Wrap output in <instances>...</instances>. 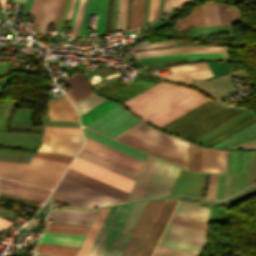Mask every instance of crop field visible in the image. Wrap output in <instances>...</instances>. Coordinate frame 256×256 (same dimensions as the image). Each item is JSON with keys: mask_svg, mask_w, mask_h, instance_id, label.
I'll use <instances>...</instances> for the list:
<instances>
[{"mask_svg": "<svg viewBox=\"0 0 256 256\" xmlns=\"http://www.w3.org/2000/svg\"><path fill=\"white\" fill-rule=\"evenodd\" d=\"M256 121L248 110L207 101L160 129L210 147Z\"/></svg>", "mask_w": 256, "mask_h": 256, "instance_id": "crop-field-1", "label": "crop field"}, {"mask_svg": "<svg viewBox=\"0 0 256 256\" xmlns=\"http://www.w3.org/2000/svg\"><path fill=\"white\" fill-rule=\"evenodd\" d=\"M207 100L194 90L162 82L123 105L159 128Z\"/></svg>", "mask_w": 256, "mask_h": 256, "instance_id": "crop-field-2", "label": "crop field"}, {"mask_svg": "<svg viewBox=\"0 0 256 256\" xmlns=\"http://www.w3.org/2000/svg\"><path fill=\"white\" fill-rule=\"evenodd\" d=\"M66 164L33 157L30 164L0 162V176L52 189Z\"/></svg>", "mask_w": 256, "mask_h": 256, "instance_id": "crop-field-3", "label": "crop field"}, {"mask_svg": "<svg viewBox=\"0 0 256 256\" xmlns=\"http://www.w3.org/2000/svg\"><path fill=\"white\" fill-rule=\"evenodd\" d=\"M51 197L76 207L103 206L119 201L77 184L64 177L60 180Z\"/></svg>", "mask_w": 256, "mask_h": 256, "instance_id": "crop-field-4", "label": "crop field"}, {"mask_svg": "<svg viewBox=\"0 0 256 256\" xmlns=\"http://www.w3.org/2000/svg\"><path fill=\"white\" fill-rule=\"evenodd\" d=\"M115 139L145 151L149 154L157 156L161 159L174 163L178 166L186 168L188 157L187 153L142 135L131 129L127 130Z\"/></svg>", "mask_w": 256, "mask_h": 256, "instance_id": "crop-field-5", "label": "crop field"}, {"mask_svg": "<svg viewBox=\"0 0 256 256\" xmlns=\"http://www.w3.org/2000/svg\"><path fill=\"white\" fill-rule=\"evenodd\" d=\"M132 206H133V204H130L127 206L113 207L110 209V211H109V213H108V215H107V217H106V219H105L87 256H98V254L108 236V233H109V231H110V229H111V227H112V225L122 207V209H121V211H120V213H119V215L109 233V236L99 254V256H108Z\"/></svg>", "mask_w": 256, "mask_h": 256, "instance_id": "crop-field-6", "label": "crop field"}, {"mask_svg": "<svg viewBox=\"0 0 256 256\" xmlns=\"http://www.w3.org/2000/svg\"><path fill=\"white\" fill-rule=\"evenodd\" d=\"M179 170L159 159L140 199L167 196Z\"/></svg>", "mask_w": 256, "mask_h": 256, "instance_id": "crop-field-7", "label": "crop field"}, {"mask_svg": "<svg viewBox=\"0 0 256 256\" xmlns=\"http://www.w3.org/2000/svg\"><path fill=\"white\" fill-rule=\"evenodd\" d=\"M138 121L140 120L118 105L86 127L114 137Z\"/></svg>", "mask_w": 256, "mask_h": 256, "instance_id": "crop-field-8", "label": "crop field"}, {"mask_svg": "<svg viewBox=\"0 0 256 256\" xmlns=\"http://www.w3.org/2000/svg\"><path fill=\"white\" fill-rule=\"evenodd\" d=\"M159 82H161V81L153 79V78H149V77H146L143 75H139L134 78V80L132 81V84L150 88V87L158 84ZM132 84L123 83V82L117 80L109 85L98 88V90L107 95L113 94V95H116V96H119L122 98L130 99V98L134 97L135 95H137L147 89V88L139 87V86L132 85ZM98 90L95 89V91L98 94H100L104 97L118 100L121 103L126 101V99H122V98H119V97H116L113 95L107 96L105 94L100 93Z\"/></svg>", "mask_w": 256, "mask_h": 256, "instance_id": "crop-field-9", "label": "crop field"}, {"mask_svg": "<svg viewBox=\"0 0 256 256\" xmlns=\"http://www.w3.org/2000/svg\"><path fill=\"white\" fill-rule=\"evenodd\" d=\"M179 200H165L138 256H152Z\"/></svg>", "mask_w": 256, "mask_h": 256, "instance_id": "crop-field-10", "label": "crop field"}, {"mask_svg": "<svg viewBox=\"0 0 256 256\" xmlns=\"http://www.w3.org/2000/svg\"><path fill=\"white\" fill-rule=\"evenodd\" d=\"M86 143L82 147V150L89 152L93 155H96L100 158H103L107 161H110L116 165H119L123 168H126L135 173H139L142 161L135 159L131 156L123 154L119 151H116L112 148H109L105 145L97 143L93 140H90L85 137Z\"/></svg>", "mask_w": 256, "mask_h": 256, "instance_id": "crop-field-11", "label": "crop field"}, {"mask_svg": "<svg viewBox=\"0 0 256 256\" xmlns=\"http://www.w3.org/2000/svg\"><path fill=\"white\" fill-rule=\"evenodd\" d=\"M163 201L148 203L122 256H137Z\"/></svg>", "mask_w": 256, "mask_h": 256, "instance_id": "crop-field-12", "label": "crop field"}, {"mask_svg": "<svg viewBox=\"0 0 256 256\" xmlns=\"http://www.w3.org/2000/svg\"><path fill=\"white\" fill-rule=\"evenodd\" d=\"M70 168L75 169L84 174H87L89 176H92L94 178H97V179L104 181L106 183H109L111 185H114L116 187H119L128 192L130 191V189L134 183L133 181H131L129 179H126L122 176H119L115 173L105 170L99 166H96V165L89 163L85 160H82L78 157H76V159L70 165Z\"/></svg>", "mask_w": 256, "mask_h": 256, "instance_id": "crop-field-13", "label": "crop field"}, {"mask_svg": "<svg viewBox=\"0 0 256 256\" xmlns=\"http://www.w3.org/2000/svg\"><path fill=\"white\" fill-rule=\"evenodd\" d=\"M232 75H242L245 77H249V74L247 72L239 70L234 73L227 74L207 81H205V79L193 80L197 89L203 91L211 98L219 100L221 98H224L235 93L236 89L233 87L228 78Z\"/></svg>", "mask_w": 256, "mask_h": 256, "instance_id": "crop-field-14", "label": "crop field"}, {"mask_svg": "<svg viewBox=\"0 0 256 256\" xmlns=\"http://www.w3.org/2000/svg\"><path fill=\"white\" fill-rule=\"evenodd\" d=\"M64 177L71 179L75 182H78L84 186H87L91 189H94L98 192H101L105 195H108L114 199H117L121 202H124L126 200V197L128 195V192L123 191L119 188H116L114 186H111L109 184H106L104 182H101L97 179H94L92 177H89L87 175H84L82 173H79L75 170H72L68 168L66 173L64 174Z\"/></svg>", "mask_w": 256, "mask_h": 256, "instance_id": "crop-field-15", "label": "crop field"}, {"mask_svg": "<svg viewBox=\"0 0 256 256\" xmlns=\"http://www.w3.org/2000/svg\"><path fill=\"white\" fill-rule=\"evenodd\" d=\"M170 68L173 74L162 77L192 87L191 78H207L212 76L207 63L182 64Z\"/></svg>", "mask_w": 256, "mask_h": 256, "instance_id": "crop-field-16", "label": "crop field"}, {"mask_svg": "<svg viewBox=\"0 0 256 256\" xmlns=\"http://www.w3.org/2000/svg\"><path fill=\"white\" fill-rule=\"evenodd\" d=\"M82 143V138L44 135L38 150L74 156Z\"/></svg>", "mask_w": 256, "mask_h": 256, "instance_id": "crop-field-17", "label": "crop field"}, {"mask_svg": "<svg viewBox=\"0 0 256 256\" xmlns=\"http://www.w3.org/2000/svg\"><path fill=\"white\" fill-rule=\"evenodd\" d=\"M51 190L3 180L0 178V192L38 201L44 202Z\"/></svg>", "mask_w": 256, "mask_h": 256, "instance_id": "crop-field-18", "label": "crop field"}, {"mask_svg": "<svg viewBox=\"0 0 256 256\" xmlns=\"http://www.w3.org/2000/svg\"><path fill=\"white\" fill-rule=\"evenodd\" d=\"M96 211L97 209L71 210L58 208V211L51 210L47 219H54L53 223L89 226Z\"/></svg>", "mask_w": 256, "mask_h": 256, "instance_id": "crop-field-19", "label": "crop field"}, {"mask_svg": "<svg viewBox=\"0 0 256 256\" xmlns=\"http://www.w3.org/2000/svg\"><path fill=\"white\" fill-rule=\"evenodd\" d=\"M146 204L147 202H143L134 205L109 256H121Z\"/></svg>", "mask_w": 256, "mask_h": 256, "instance_id": "crop-field-20", "label": "crop field"}, {"mask_svg": "<svg viewBox=\"0 0 256 256\" xmlns=\"http://www.w3.org/2000/svg\"><path fill=\"white\" fill-rule=\"evenodd\" d=\"M227 154V150L203 147L200 171L225 172Z\"/></svg>", "mask_w": 256, "mask_h": 256, "instance_id": "crop-field-21", "label": "crop field"}, {"mask_svg": "<svg viewBox=\"0 0 256 256\" xmlns=\"http://www.w3.org/2000/svg\"><path fill=\"white\" fill-rule=\"evenodd\" d=\"M144 123V122H143ZM142 122L135 125L134 127H132L131 129L135 130V131H138L142 134H145L147 136H150L154 139H157L161 142H164L168 145H171L173 147H176L180 150H183L185 152L188 153V147H189V142L188 141H184V140H181V139H178V138H175V137H172V136H169V135H166L162 132H159L145 124H143Z\"/></svg>", "mask_w": 256, "mask_h": 256, "instance_id": "crop-field-22", "label": "crop field"}, {"mask_svg": "<svg viewBox=\"0 0 256 256\" xmlns=\"http://www.w3.org/2000/svg\"><path fill=\"white\" fill-rule=\"evenodd\" d=\"M108 0H89L80 35H85L90 14H97L96 34L103 33Z\"/></svg>", "mask_w": 256, "mask_h": 256, "instance_id": "crop-field-23", "label": "crop field"}, {"mask_svg": "<svg viewBox=\"0 0 256 256\" xmlns=\"http://www.w3.org/2000/svg\"><path fill=\"white\" fill-rule=\"evenodd\" d=\"M64 81L71 89L65 94L74 104L92 93L87 80L78 73L68 78H64Z\"/></svg>", "mask_w": 256, "mask_h": 256, "instance_id": "crop-field-24", "label": "crop field"}, {"mask_svg": "<svg viewBox=\"0 0 256 256\" xmlns=\"http://www.w3.org/2000/svg\"><path fill=\"white\" fill-rule=\"evenodd\" d=\"M50 119L78 121L76 109L66 97L47 105Z\"/></svg>", "mask_w": 256, "mask_h": 256, "instance_id": "crop-field-25", "label": "crop field"}, {"mask_svg": "<svg viewBox=\"0 0 256 256\" xmlns=\"http://www.w3.org/2000/svg\"><path fill=\"white\" fill-rule=\"evenodd\" d=\"M205 231L170 223L165 235L205 244L208 235Z\"/></svg>", "mask_w": 256, "mask_h": 256, "instance_id": "crop-field-26", "label": "crop field"}, {"mask_svg": "<svg viewBox=\"0 0 256 256\" xmlns=\"http://www.w3.org/2000/svg\"><path fill=\"white\" fill-rule=\"evenodd\" d=\"M86 137L144 161L147 154L83 128Z\"/></svg>", "mask_w": 256, "mask_h": 256, "instance_id": "crop-field-27", "label": "crop field"}, {"mask_svg": "<svg viewBox=\"0 0 256 256\" xmlns=\"http://www.w3.org/2000/svg\"><path fill=\"white\" fill-rule=\"evenodd\" d=\"M157 160V158L149 155L128 200L140 198Z\"/></svg>", "mask_w": 256, "mask_h": 256, "instance_id": "crop-field-28", "label": "crop field"}, {"mask_svg": "<svg viewBox=\"0 0 256 256\" xmlns=\"http://www.w3.org/2000/svg\"><path fill=\"white\" fill-rule=\"evenodd\" d=\"M84 236L45 232L40 242L79 247Z\"/></svg>", "mask_w": 256, "mask_h": 256, "instance_id": "crop-field-29", "label": "crop field"}, {"mask_svg": "<svg viewBox=\"0 0 256 256\" xmlns=\"http://www.w3.org/2000/svg\"><path fill=\"white\" fill-rule=\"evenodd\" d=\"M78 157L135 181L137 174L80 150Z\"/></svg>", "mask_w": 256, "mask_h": 256, "instance_id": "crop-field-30", "label": "crop field"}, {"mask_svg": "<svg viewBox=\"0 0 256 256\" xmlns=\"http://www.w3.org/2000/svg\"><path fill=\"white\" fill-rule=\"evenodd\" d=\"M110 208L100 209L77 256H86Z\"/></svg>", "mask_w": 256, "mask_h": 256, "instance_id": "crop-field-31", "label": "crop field"}, {"mask_svg": "<svg viewBox=\"0 0 256 256\" xmlns=\"http://www.w3.org/2000/svg\"><path fill=\"white\" fill-rule=\"evenodd\" d=\"M161 246L170 247L174 249L184 250L188 252H193L200 254L203 250L204 246L203 244H198L194 242L184 241L180 239L170 238L164 236L161 243Z\"/></svg>", "mask_w": 256, "mask_h": 256, "instance_id": "crop-field-32", "label": "crop field"}, {"mask_svg": "<svg viewBox=\"0 0 256 256\" xmlns=\"http://www.w3.org/2000/svg\"><path fill=\"white\" fill-rule=\"evenodd\" d=\"M175 213L208 221L209 209L181 201Z\"/></svg>", "mask_w": 256, "mask_h": 256, "instance_id": "crop-field-33", "label": "crop field"}, {"mask_svg": "<svg viewBox=\"0 0 256 256\" xmlns=\"http://www.w3.org/2000/svg\"><path fill=\"white\" fill-rule=\"evenodd\" d=\"M78 248L75 247H67V246H59V245H51V244H43L39 243L36 251L40 253L58 255V256H75Z\"/></svg>", "mask_w": 256, "mask_h": 256, "instance_id": "crop-field-34", "label": "crop field"}, {"mask_svg": "<svg viewBox=\"0 0 256 256\" xmlns=\"http://www.w3.org/2000/svg\"><path fill=\"white\" fill-rule=\"evenodd\" d=\"M180 25H184V26L180 27L181 29L188 27V26H203V25H205L201 5L193 8L189 16L177 20L176 26H174L172 28L174 29Z\"/></svg>", "mask_w": 256, "mask_h": 256, "instance_id": "crop-field-35", "label": "crop field"}, {"mask_svg": "<svg viewBox=\"0 0 256 256\" xmlns=\"http://www.w3.org/2000/svg\"><path fill=\"white\" fill-rule=\"evenodd\" d=\"M116 105H118V104H116L112 101H109V100L103 102L102 104L98 105L94 109H92L89 112L85 113L84 115L80 116L82 125H84V126L87 125L88 123L95 120L96 118H98L99 116H101L102 114L107 112L108 110L112 109Z\"/></svg>", "mask_w": 256, "mask_h": 256, "instance_id": "crop-field-36", "label": "crop field"}, {"mask_svg": "<svg viewBox=\"0 0 256 256\" xmlns=\"http://www.w3.org/2000/svg\"><path fill=\"white\" fill-rule=\"evenodd\" d=\"M221 24L242 22L236 7H226L225 4L217 5Z\"/></svg>", "mask_w": 256, "mask_h": 256, "instance_id": "crop-field-37", "label": "crop field"}, {"mask_svg": "<svg viewBox=\"0 0 256 256\" xmlns=\"http://www.w3.org/2000/svg\"><path fill=\"white\" fill-rule=\"evenodd\" d=\"M46 231L85 235L89 227L48 223Z\"/></svg>", "mask_w": 256, "mask_h": 256, "instance_id": "crop-field-38", "label": "crop field"}, {"mask_svg": "<svg viewBox=\"0 0 256 256\" xmlns=\"http://www.w3.org/2000/svg\"><path fill=\"white\" fill-rule=\"evenodd\" d=\"M171 222L207 231L206 221L175 214Z\"/></svg>", "mask_w": 256, "mask_h": 256, "instance_id": "crop-field-39", "label": "crop field"}, {"mask_svg": "<svg viewBox=\"0 0 256 256\" xmlns=\"http://www.w3.org/2000/svg\"><path fill=\"white\" fill-rule=\"evenodd\" d=\"M228 49H182V50H172V51H162V52H153L146 54H138L137 58L173 54V53H182V52H207V53H227Z\"/></svg>", "mask_w": 256, "mask_h": 256, "instance_id": "crop-field-40", "label": "crop field"}, {"mask_svg": "<svg viewBox=\"0 0 256 256\" xmlns=\"http://www.w3.org/2000/svg\"><path fill=\"white\" fill-rule=\"evenodd\" d=\"M105 100L106 99L100 98L93 93L75 105L79 109L80 115H82Z\"/></svg>", "mask_w": 256, "mask_h": 256, "instance_id": "crop-field-41", "label": "crop field"}, {"mask_svg": "<svg viewBox=\"0 0 256 256\" xmlns=\"http://www.w3.org/2000/svg\"><path fill=\"white\" fill-rule=\"evenodd\" d=\"M44 134L82 137L80 128L44 127Z\"/></svg>", "mask_w": 256, "mask_h": 256, "instance_id": "crop-field-42", "label": "crop field"}, {"mask_svg": "<svg viewBox=\"0 0 256 256\" xmlns=\"http://www.w3.org/2000/svg\"><path fill=\"white\" fill-rule=\"evenodd\" d=\"M201 151V146L191 143L188 170L199 171Z\"/></svg>", "mask_w": 256, "mask_h": 256, "instance_id": "crop-field-43", "label": "crop field"}, {"mask_svg": "<svg viewBox=\"0 0 256 256\" xmlns=\"http://www.w3.org/2000/svg\"><path fill=\"white\" fill-rule=\"evenodd\" d=\"M56 1L57 0H48L47 1L38 32H42V33L46 32L48 25H49V20L52 16V13H53V10H54L55 4H56Z\"/></svg>", "mask_w": 256, "mask_h": 256, "instance_id": "crop-field-44", "label": "crop field"}, {"mask_svg": "<svg viewBox=\"0 0 256 256\" xmlns=\"http://www.w3.org/2000/svg\"><path fill=\"white\" fill-rule=\"evenodd\" d=\"M206 25L220 24L216 5H202Z\"/></svg>", "mask_w": 256, "mask_h": 256, "instance_id": "crop-field-45", "label": "crop field"}, {"mask_svg": "<svg viewBox=\"0 0 256 256\" xmlns=\"http://www.w3.org/2000/svg\"><path fill=\"white\" fill-rule=\"evenodd\" d=\"M254 188H256V184H254V185H252V186H250V187H248V188H246V189H244V190H242V191H240V192H238V193H236V194H234V195H232V196H230L226 199L219 200V201H210V200H206V199H202V198H198V197L182 196V195H176L174 197H184V198H188V199H194V200H197V201H201V202H204V203H222V202H228V201H230V200H232V199H234V198H236V197H238V196H240V195H242V194H244V193H246V192H248V191H250Z\"/></svg>", "mask_w": 256, "mask_h": 256, "instance_id": "crop-field-46", "label": "crop field"}, {"mask_svg": "<svg viewBox=\"0 0 256 256\" xmlns=\"http://www.w3.org/2000/svg\"><path fill=\"white\" fill-rule=\"evenodd\" d=\"M182 56H227V54L182 53V54H174V55H166V56L142 58V59H138V60H139V62H143V61H151V60L175 58V57H182Z\"/></svg>", "mask_w": 256, "mask_h": 256, "instance_id": "crop-field-47", "label": "crop field"}, {"mask_svg": "<svg viewBox=\"0 0 256 256\" xmlns=\"http://www.w3.org/2000/svg\"><path fill=\"white\" fill-rule=\"evenodd\" d=\"M34 156L53 160V161H58L66 164H69L70 160L72 159V157L70 156H64V155H58V154H52V153H46V152H40V151H37Z\"/></svg>", "mask_w": 256, "mask_h": 256, "instance_id": "crop-field-48", "label": "crop field"}, {"mask_svg": "<svg viewBox=\"0 0 256 256\" xmlns=\"http://www.w3.org/2000/svg\"><path fill=\"white\" fill-rule=\"evenodd\" d=\"M155 254L161 255V256H199L197 254L174 250V249L165 248L161 246L158 247Z\"/></svg>", "mask_w": 256, "mask_h": 256, "instance_id": "crop-field-49", "label": "crop field"}, {"mask_svg": "<svg viewBox=\"0 0 256 256\" xmlns=\"http://www.w3.org/2000/svg\"><path fill=\"white\" fill-rule=\"evenodd\" d=\"M145 0H136L134 28L141 26L144 18Z\"/></svg>", "mask_w": 256, "mask_h": 256, "instance_id": "crop-field-50", "label": "crop field"}, {"mask_svg": "<svg viewBox=\"0 0 256 256\" xmlns=\"http://www.w3.org/2000/svg\"><path fill=\"white\" fill-rule=\"evenodd\" d=\"M127 0H121L119 13V31L125 30Z\"/></svg>", "mask_w": 256, "mask_h": 256, "instance_id": "crop-field-51", "label": "crop field"}, {"mask_svg": "<svg viewBox=\"0 0 256 256\" xmlns=\"http://www.w3.org/2000/svg\"><path fill=\"white\" fill-rule=\"evenodd\" d=\"M84 4H85V0H81L80 4H79L78 11H77V14H76L74 26H73V29H72V33H71L72 35H76L77 30L79 28V24H80L82 12H83Z\"/></svg>", "mask_w": 256, "mask_h": 256, "instance_id": "crop-field-52", "label": "crop field"}, {"mask_svg": "<svg viewBox=\"0 0 256 256\" xmlns=\"http://www.w3.org/2000/svg\"><path fill=\"white\" fill-rule=\"evenodd\" d=\"M184 59H188V58H187V57H183V58H175V59H167V60L143 62L142 64H143V65H147V64H154V63H161V62H168V61H176V60H184ZM185 61H189V60H185ZM185 61H177V62H169V63H161V64H154V65H147V67L161 66V65L173 64V63L185 62Z\"/></svg>", "mask_w": 256, "mask_h": 256, "instance_id": "crop-field-53", "label": "crop field"}, {"mask_svg": "<svg viewBox=\"0 0 256 256\" xmlns=\"http://www.w3.org/2000/svg\"><path fill=\"white\" fill-rule=\"evenodd\" d=\"M112 6H113V0H109L104 33L110 32L111 18H112Z\"/></svg>", "mask_w": 256, "mask_h": 256, "instance_id": "crop-field-54", "label": "crop field"}, {"mask_svg": "<svg viewBox=\"0 0 256 256\" xmlns=\"http://www.w3.org/2000/svg\"><path fill=\"white\" fill-rule=\"evenodd\" d=\"M217 174H211L207 198L214 199Z\"/></svg>", "mask_w": 256, "mask_h": 256, "instance_id": "crop-field-55", "label": "crop field"}, {"mask_svg": "<svg viewBox=\"0 0 256 256\" xmlns=\"http://www.w3.org/2000/svg\"><path fill=\"white\" fill-rule=\"evenodd\" d=\"M233 149H256V140L241 144V145H237L234 147H231Z\"/></svg>", "mask_w": 256, "mask_h": 256, "instance_id": "crop-field-56", "label": "crop field"}, {"mask_svg": "<svg viewBox=\"0 0 256 256\" xmlns=\"http://www.w3.org/2000/svg\"><path fill=\"white\" fill-rule=\"evenodd\" d=\"M172 44H174L173 40L162 42V43L149 44V46H144V47H135V48H132V50L159 47V46L172 45Z\"/></svg>", "mask_w": 256, "mask_h": 256, "instance_id": "crop-field-57", "label": "crop field"}, {"mask_svg": "<svg viewBox=\"0 0 256 256\" xmlns=\"http://www.w3.org/2000/svg\"><path fill=\"white\" fill-rule=\"evenodd\" d=\"M42 1L43 0H37L36 1V4H35V7H34V10H33V16H35L34 18V21L32 24H36V21H37V18H38V14H39V11H40V8H41V5H42Z\"/></svg>", "mask_w": 256, "mask_h": 256, "instance_id": "crop-field-58", "label": "crop field"}, {"mask_svg": "<svg viewBox=\"0 0 256 256\" xmlns=\"http://www.w3.org/2000/svg\"><path fill=\"white\" fill-rule=\"evenodd\" d=\"M175 1L176 0H164L163 14L175 7Z\"/></svg>", "mask_w": 256, "mask_h": 256, "instance_id": "crop-field-59", "label": "crop field"}, {"mask_svg": "<svg viewBox=\"0 0 256 256\" xmlns=\"http://www.w3.org/2000/svg\"><path fill=\"white\" fill-rule=\"evenodd\" d=\"M155 2H156V0H151V3H150V17H149V22L154 19Z\"/></svg>", "mask_w": 256, "mask_h": 256, "instance_id": "crop-field-60", "label": "crop field"}, {"mask_svg": "<svg viewBox=\"0 0 256 256\" xmlns=\"http://www.w3.org/2000/svg\"><path fill=\"white\" fill-rule=\"evenodd\" d=\"M65 3H66V0H63L62 3H61L59 14H58V17H57V20H56V23H55L57 25H59V23H60V19H61V15H62L64 6H65Z\"/></svg>", "mask_w": 256, "mask_h": 256, "instance_id": "crop-field-61", "label": "crop field"}, {"mask_svg": "<svg viewBox=\"0 0 256 256\" xmlns=\"http://www.w3.org/2000/svg\"><path fill=\"white\" fill-rule=\"evenodd\" d=\"M12 225V222L0 219V230L1 229H6L8 226Z\"/></svg>", "mask_w": 256, "mask_h": 256, "instance_id": "crop-field-62", "label": "crop field"}, {"mask_svg": "<svg viewBox=\"0 0 256 256\" xmlns=\"http://www.w3.org/2000/svg\"><path fill=\"white\" fill-rule=\"evenodd\" d=\"M61 1H62V0H58V1H57L56 7H55V10H54L52 19H51L52 22H54L55 19H56V17H57V14H58V10H59V6H60Z\"/></svg>", "mask_w": 256, "mask_h": 256, "instance_id": "crop-field-63", "label": "crop field"}, {"mask_svg": "<svg viewBox=\"0 0 256 256\" xmlns=\"http://www.w3.org/2000/svg\"><path fill=\"white\" fill-rule=\"evenodd\" d=\"M130 9H131V0H128V11H127L126 30L129 29V23H130Z\"/></svg>", "mask_w": 256, "mask_h": 256, "instance_id": "crop-field-64", "label": "crop field"}, {"mask_svg": "<svg viewBox=\"0 0 256 256\" xmlns=\"http://www.w3.org/2000/svg\"><path fill=\"white\" fill-rule=\"evenodd\" d=\"M32 1H33V0H27V1H26V5H25V8H24L23 16H26V15L28 14L29 9H30V6H31V4H32ZM23 16H22V17H23Z\"/></svg>", "mask_w": 256, "mask_h": 256, "instance_id": "crop-field-65", "label": "crop field"}, {"mask_svg": "<svg viewBox=\"0 0 256 256\" xmlns=\"http://www.w3.org/2000/svg\"><path fill=\"white\" fill-rule=\"evenodd\" d=\"M181 48H228V47H181ZM181 48H172V49H181ZM164 50H171V49H164ZM155 51H161V50H155ZM147 52H153V51H147ZM139 53H145V52H139ZM138 54V53H135Z\"/></svg>", "mask_w": 256, "mask_h": 256, "instance_id": "crop-field-66", "label": "crop field"}, {"mask_svg": "<svg viewBox=\"0 0 256 256\" xmlns=\"http://www.w3.org/2000/svg\"><path fill=\"white\" fill-rule=\"evenodd\" d=\"M134 8H135V0H132L130 29L133 28V22H134Z\"/></svg>", "mask_w": 256, "mask_h": 256, "instance_id": "crop-field-67", "label": "crop field"}, {"mask_svg": "<svg viewBox=\"0 0 256 256\" xmlns=\"http://www.w3.org/2000/svg\"><path fill=\"white\" fill-rule=\"evenodd\" d=\"M75 3H76V0H73L72 5H71L70 10H69V13H68V15H67V17H69V18H71V16H72Z\"/></svg>", "mask_w": 256, "mask_h": 256, "instance_id": "crop-field-68", "label": "crop field"}, {"mask_svg": "<svg viewBox=\"0 0 256 256\" xmlns=\"http://www.w3.org/2000/svg\"><path fill=\"white\" fill-rule=\"evenodd\" d=\"M46 1L47 0H44L43 2V5H42V8H41V11H40V14H39V18H38V21H37V24L36 25H39L40 24V20H41V17H42V13H43V9H44V6L46 4Z\"/></svg>", "mask_w": 256, "mask_h": 256, "instance_id": "crop-field-69", "label": "crop field"}, {"mask_svg": "<svg viewBox=\"0 0 256 256\" xmlns=\"http://www.w3.org/2000/svg\"><path fill=\"white\" fill-rule=\"evenodd\" d=\"M79 1L80 0H77L76 7H75V10H74V13H73V17H72V20H71V23H70V26H69L71 28H72V25H73V21H74V18H75V14H76V11H77V8H78Z\"/></svg>", "mask_w": 256, "mask_h": 256, "instance_id": "crop-field-70", "label": "crop field"}, {"mask_svg": "<svg viewBox=\"0 0 256 256\" xmlns=\"http://www.w3.org/2000/svg\"><path fill=\"white\" fill-rule=\"evenodd\" d=\"M188 1H190V0H177V1H176V7L183 5V4H185L186 2H188Z\"/></svg>", "mask_w": 256, "mask_h": 256, "instance_id": "crop-field-71", "label": "crop field"}, {"mask_svg": "<svg viewBox=\"0 0 256 256\" xmlns=\"http://www.w3.org/2000/svg\"><path fill=\"white\" fill-rule=\"evenodd\" d=\"M68 2H69V0H67L65 9H64V12H63V15H62L61 23H60V26H59V28H58V32H57V33H59V30H60V27H61V24H62V21H63V18H64V14H65V10H66V7H67V5H68Z\"/></svg>", "mask_w": 256, "mask_h": 256, "instance_id": "crop-field-72", "label": "crop field"}, {"mask_svg": "<svg viewBox=\"0 0 256 256\" xmlns=\"http://www.w3.org/2000/svg\"><path fill=\"white\" fill-rule=\"evenodd\" d=\"M158 11H159V0L156 2V13H155V18L158 17Z\"/></svg>", "mask_w": 256, "mask_h": 256, "instance_id": "crop-field-73", "label": "crop field"}, {"mask_svg": "<svg viewBox=\"0 0 256 256\" xmlns=\"http://www.w3.org/2000/svg\"><path fill=\"white\" fill-rule=\"evenodd\" d=\"M14 3H21V4H23L24 0H14Z\"/></svg>", "mask_w": 256, "mask_h": 256, "instance_id": "crop-field-74", "label": "crop field"}, {"mask_svg": "<svg viewBox=\"0 0 256 256\" xmlns=\"http://www.w3.org/2000/svg\"><path fill=\"white\" fill-rule=\"evenodd\" d=\"M35 1H36V0H34V1H33V4H32V6H31V9H30V13H29V15H31V13H32V10H33V7H34V4H35Z\"/></svg>", "mask_w": 256, "mask_h": 256, "instance_id": "crop-field-75", "label": "crop field"}, {"mask_svg": "<svg viewBox=\"0 0 256 256\" xmlns=\"http://www.w3.org/2000/svg\"><path fill=\"white\" fill-rule=\"evenodd\" d=\"M0 1H1V3H2V6H4V1H5V0H0Z\"/></svg>", "mask_w": 256, "mask_h": 256, "instance_id": "crop-field-76", "label": "crop field"}, {"mask_svg": "<svg viewBox=\"0 0 256 256\" xmlns=\"http://www.w3.org/2000/svg\"><path fill=\"white\" fill-rule=\"evenodd\" d=\"M11 3H13V0L11 1Z\"/></svg>", "mask_w": 256, "mask_h": 256, "instance_id": "crop-field-77", "label": "crop field"}, {"mask_svg": "<svg viewBox=\"0 0 256 256\" xmlns=\"http://www.w3.org/2000/svg\"><path fill=\"white\" fill-rule=\"evenodd\" d=\"M36 256V255H35ZM37 256H40V255H37Z\"/></svg>", "mask_w": 256, "mask_h": 256, "instance_id": "crop-field-78", "label": "crop field"}, {"mask_svg": "<svg viewBox=\"0 0 256 256\" xmlns=\"http://www.w3.org/2000/svg\"><path fill=\"white\" fill-rule=\"evenodd\" d=\"M155 256H157V255H155Z\"/></svg>", "mask_w": 256, "mask_h": 256, "instance_id": "crop-field-79", "label": "crop field"}]
</instances>
